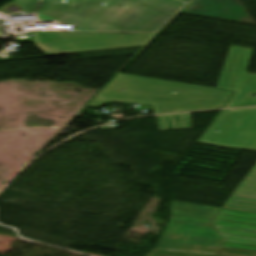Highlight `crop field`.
<instances>
[{
	"label": "crop field",
	"mask_w": 256,
	"mask_h": 256,
	"mask_svg": "<svg viewBox=\"0 0 256 256\" xmlns=\"http://www.w3.org/2000/svg\"><path fill=\"white\" fill-rule=\"evenodd\" d=\"M40 21L56 20L74 31L136 35L35 32L48 56L147 45L188 4L183 0H13ZM102 3H106L102 6Z\"/></svg>",
	"instance_id": "obj_1"
},
{
	"label": "crop field",
	"mask_w": 256,
	"mask_h": 256,
	"mask_svg": "<svg viewBox=\"0 0 256 256\" xmlns=\"http://www.w3.org/2000/svg\"><path fill=\"white\" fill-rule=\"evenodd\" d=\"M256 213L220 208L213 221L171 217L149 256H254Z\"/></svg>",
	"instance_id": "obj_2"
},
{
	"label": "crop field",
	"mask_w": 256,
	"mask_h": 256,
	"mask_svg": "<svg viewBox=\"0 0 256 256\" xmlns=\"http://www.w3.org/2000/svg\"><path fill=\"white\" fill-rule=\"evenodd\" d=\"M199 142L256 151V108L221 111Z\"/></svg>",
	"instance_id": "obj_3"
},
{
	"label": "crop field",
	"mask_w": 256,
	"mask_h": 256,
	"mask_svg": "<svg viewBox=\"0 0 256 256\" xmlns=\"http://www.w3.org/2000/svg\"><path fill=\"white\" fill-rule=\"evenodd\" d=\"M179 83L119 74L101 92L130 98V103L154 105L155 114L174 112ZM126 93H117L119 88ZM172 91L176 94H172ZM138 97V99H137Z\"/></svg>",
	"instance_id": "obj_4"
},
{
	"label": "crop field",
	"mask_w": 256,
	"mask_h": 256,
	"mask_svg": "<svg viewBox=\"0 0 256 256\" xmlns=\"http://www.w3.org/2000/svg\"><path fill=\"white\" fill-rule=\"evenodd\" d=\"M252 50L230 47L217 88L236 92L224 108L256 106V74L246 72Z\"/></svg>",
	"instance_id": "obj_5"
},
{
	"label": "crop field",
	"mask_w": 256,
	"mask_h": 256,
	"mask_svg": "<svg viewBox=\"0 0 256 256\" xmlns=\"http://www.w3.org/2000/svg\"><path fill=\"white\" fill-rule=\"evenodd\" d=\"M233 92L180 83L175 112L222 107Z\"/></svg>",
	"instance_id": "obj_6"
},
{
	"label": "crop field",
	"mask_w": 256,
	"mask_h": 256,
	"mask_svg": "<svg viewBox=\"0 0 256 256\" xmlns=\"http://www.w3.org/2000/svg\"><path fill=\"white\" fill-rule=\"evenodd\" d=\"M192 2L184 15L254 24L238 0H187Z\"/></svg>",
	"instance_id": "obj_7"
},
{
	"label": "crop field",
	"mask_w": 256,
	"mask_h": 256,
	"mask_svg": "<svg viewBox=\"0 0 256 256\" xmlns=\"http://www.w3.org/2000/svg\"><path fill=\"white\" fill-rule=\"evenodd\" d=\"M160 130L190 128L189 114L157 116Z\"/></svg>",
	"instance_id": "obj_8"
},
{
	"label": "crop field",
	"mask_w": 256,
	"mask_h": 256,
	"mask_svg": "<svg viewBox=\"0 0 256 256\" xmlns=\"http://www.w3.org/2000/svg\"><path fill=\"white\" fill-rule=\"evenodd\" d=\"M107 102L129 103V99L99 93L87 106L100 107Z\"/></svg>",
	"instance_id": "obj_9"
},
{
	"label": "crop field",
	"mask_w": 256,
	"mask_h": 256,
	"mask_svg": "<svg viewBox=\"0 0 256 256\" xmlns=\"http://www.w3.org/2000/svg\"><path fill=\"white\" fill-rule=\"evenodd\" d=\"M0 36H1V33H0Z\"/></svg>",
	"instance_id": "obj_10"
}]
</instances>
